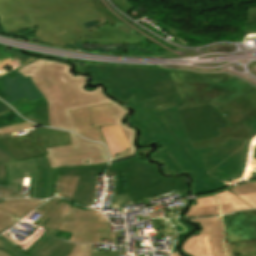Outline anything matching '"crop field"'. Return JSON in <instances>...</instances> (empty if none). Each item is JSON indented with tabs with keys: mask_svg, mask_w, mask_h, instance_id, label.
Masks as SVG:
<instances>
[{
	"mask_svg": "<svg viewBox=\"0 0 256 256\" xmlns=\"http://www.w3.org/2000/svg\"><path fill=\"white\" fill-rule=\"evenodd\" d=\"M47 62V63H45ZM70 67L59 62L38 59L22 68V76H30L32 82L44 97L29 102L22 98L12 104L21 116L43 126L75 131L69 110L112 103L115 125L120 124L131 148L112 157V161L133 156L136 149L133 144L135 130L124 126L121 119L127 113L121 105L106 97L101 87L88 92L84 89L87 78L72 75ZM48 103V105H46Z\"/></svg>",
	"mask_w": 256,
	"mask_h": 256,
	"instance_id": "crop-field-1",
	"label": "crop field"
},
{
	"mask_svg": "<svg viewBox=\"0 0 256 256\" xmlns=\"http://www.w3.org/2000/svg\"><path fill=\"white\" fill-rule=\"evenodd\" d=\"M101 16L116 27L121 23L99 0H0V25L6 31L37 27V37L45 43L58 46L90 41L135 44L140 40L118 27L105 26L89 33L80 24Z\"/></svg>",
	"mask_w": 256,
	"mask_h": 256,
	"instance_id": "crop-field-2",
	"label": "crop field"
},
{
	"mask_svg": "<svg viewBox=\"0 0 256 256\" xmlns=\"http://www.w3.org/2000/svg\"><path fill=\"white\" fill-rule=\"evenodd\" d=\"M181 102L178 93H172L135 103L134 97L126 103L137 114L130 120L141 129V144L159 141L161 147L151 158L165 165V171L194 174L193 193L202 194L224 187L231 178L222 179L219 171L207 172L203 153L212 152V147L194 150L177 107L156 110L155 106Z\"/></svg>",
	"mask_w": 256,
	"mask_h": 256,
	"instance_id": "crop-field-3",
	"label": "crop field"
},
{
	"mask_svg": "<svg viewBox=\"0 0 256 256\" xmlns=\"http://www.w3.org/2000/svg\"><path fill=\"white\" fill-rule=\"evenodd\" d=\"M150 150L140 148L134 157L111 163L107 176L117 175L112 206L174 191L180 198L187 196L185 176L165 178L158 173L156 165L145 162L143 156Z\"/></svg>",
	"mask_w": 256,
	"mask_h": 256,
	"instance_id": "crop-field-4",
	"label": "crop field"
},
{
	"mask_svg": "<svg viewBox=\"0 0 256 256\" xmlns=\"http://www.w3.org/2000/svg\"><path fill=\"white\" fill-rule=\"evenodd\" d=\"M76 71L90 73L93 84L104 82L110 94L125 103L133 94L140 101L177 91L169 76L171 71L163 69L87 65L76 67Z\"/></svg>",
	"mask_w": 256,
	"mask_h": 256,
	"instance_id": "crop-field-5",
	"label": "crop field"
},
{
	"mask_svg": "<svg viewBox=\"0 0 256 256\" xmlns=\"http://www.w3.org/2000/svg\"><path fill=\"white\" fill-rule=\"evenodd\" d=\"M182 103L156 107L178 106L179 109L211 103L214 107L255 91L251 84L227 74L195 75L183 72L170 74ZM217 81H213V80Z\"/></svg>",
	"mask_w": 256,
	"mask_h": 256,
	"instance_id": "crop-field-6",
	"label": "crop field"
},
{
	"mask_svg": "<svg viewBox=\"0 0 256 256\" xmlns=\"http://www.w3.org/2000/svg\"><path fill=\"white\" fill-rule=\"evenodd\" d=\"M72 145L46 149L51 166L48 196L52 197L57 168L108 163L104 146L71 134Z\"/></svg>",
	"mask_w": 256,
	"mask_h": 256,
	"instance_id": "crop-field-7",
	"label": "crop field"
},
{
	"mask_svg": "<svg viewBox=\"0 0 256 256\" xmlns=\"http://www.w3.org/2000/svg\"><path fill=\"white\" fill-rule=\"evenodd\" d=\"M0 141L16 160L44 156L47 155L44 148L71 144L69 133L41 127L17 137L11 134L0 136Z\"/></svg>",
	"mask_w": 256,
	"mask_h": 256,
	"instance_id": "crop-field-8",
	"label": "crop field"
},
{
	"mask_svg": "<svg viewBox=\"0 0 256 256\" xmlns=\"http://www.w3.org/2000/svg\"><path fill=\"white\" fill-rule=\"evenodd\" d=\"M219 113L232 126L220 129V137L192 143L194 148H203L221 144L228 137L249 139L242 121L256 117V91L216 107Z\"/></svg>",
	"mask_w": 256,
	"mask_h": 256,
	"instance_id": "crop-field-9",
	"label": "crop field"
},
{
	"mask_svg": "<svg viewBox=\"0 0 256 256\" xmlns=\"http://www.w3.org/2000/svg\"><path fill=\"white\" fill-rule=\"evenodd\" d=\"M192 142L219 136V128L230 126L211 105L179 110Z\"/></svg>",
	"mask_w": 256,
	"mask_h": 256,
	"instance_id": "crop-field-10",
	"label": "crop field"
},
{
	"mask_svg": "<svg viewBox=\"0 0 256 256\" xmlns=\"http://www.w3.org/2000/svg\"><path fill=\"white\" fill-rule=\"evenodd\" d=\"M61 198H52L35 212L42 214L33 224L56 230L62 220L109 222L99 211H82L61 203Z\"/></svg>",
	"mask_w": 256,
	"mask_h": 256,
	"instance_id": "crop-field-11",
	"label": "crop field"
},
{
	"mask_svg": "<svg viewBox=\"0 0 256 256\" xmlns=\"http://www.w3.org/2000/svg\"><path fill=\"white\" fill-rule=\"evenodd\" d=\"M70 113L78 134L106 145L100 127L114 125L111 104L73 110Z\"/></svg>",
	"mask_w": 256,
	"mask_h": 256,
	"instance_id": "crop-field-12",
	"label": "crop field"
},
{
	"mask_svg": "<svg viewBox=\"0 0 256 256\" xmlns=\"http://www.w3.org/2000/svg\"><path fill=\"white\" fill-rule=\"evenodd\" d=\"M249 140L228 138L219 146L213 147V153L205 154V165L208 171L220 170L222 177L239 174L242 150Z\"/></svg>",
	"mask_w": 256,
	"mask_h": 256,
	"instance_id": "crop-field-13",
	"label": "crop field"
},
{
	"mask_svg": "<svg viewBox=\"0 0 256 256\" xmlns=\"http://www.w3.org/2000/svg\"><path fill=\"white\" fill-rule=\"evenodd\" d=\"M107 165L60 168L57 175L80 177L74 200L91 206L95 184L93 177L103 173Z\"/></svg>",
	"mask_w": 256,
	"mask_h": 256,
	"instance_id": "crop-field-14",
	"label": "crop field"
},
{
	"mask_svg": "<svg viewBox=\"0 0 256 256\" xmlns=\"http://www.w3.org/2000/svg\"><path fill=\"white\" fill-rule=\"evenodd\" d=\"M58 229L73 233L69 240L73 242L98 243L100 238H115L108 223L62 221Z\"/></svg>",
	"mask_w": 256,
	"mask_h": 256,
	"instance_id": "crop-field-15",
	"label": "crop field"
},
{
	"mask_svg": "<svg viewBox=\"0 0 256 256\" xmlns=\"http://www.w3.org/2000/svg\"><path fill=\"white\" fill-rule=\"evenodd\" d=\"M223 216L230 242L256 241V210Z\"/></svg>",
	"mask_w": 256,
	"mask_h": 256,
	"instance_id": "crop-field-16",
	"label": "crop field"
},
{
	"mask_svg": "<svg viewBox=\"0 0 256 256\" xmlns=\"http://www.w3.org/2000/svg\"><path fill=\"white\" fill-rule=\"evenodd\" d=\"M188 221L200 223L203 230L200 234H208L214 256H226L223 240L225 238L221 216L206 219H191Z\"/></svg>",
	"mask_w": 256,
	"mask_h": 256,
	"instance_id": "crop-field-17",
	"label": "crop field"
},
{
	"mask_svg": "<svg viewBox=\"0 0 256 256\" xmlns=\"http://www.w3.org/2000/svg\"><path fill=\"white\" fill-rule=\"evenodd\" d=\"M56 231L46 237V239L29 256H67L75 243L63 242L55 239Z\"/></svg>",
	"mask_w": 256,
	"mask_h": 256,
	"instance_id": "crop-field-18",
	"label": "crop field"
},
{
	"mask_svg": "<svg viewBox=\"0 0 256 256\" xmlns=\"http://www.w3.org/2000/svg\"><path fill=\"white\" fill-rule=\"evenodd\" d=\"M101 130L103 132L111 156H114L115 154L130 148L119 125L104 127L101 128Z\"/></svg>",
	"mask_w": 256,
	"mask_h": 256,
	"instance_id": "crop-field-19",
	"label": "crop field"
},
{
	"mask_svg": "<svg viewBox=\"0 0 256 256\" xmlns=\"http://www.w3.org/2000/svg\"><path fill=\"white\" fill-rule=\"evenodd\" d=\"M43 202L33 199H12L0 203V209L22 218Z\"/></svg>",
	"mask_w": 256,
	"mask_h": 256,
	"instance_id": "crop-field-20",
	"label": "crop field"
},
{
	"mask_svg": "<svg viewBox=\"0 0 256 256\" xmlns=\"http://www.w3.org/2000/svg\"><path fill=\"white\" fill-rule=\"evenodd\" d=\"M182 249L190 256H213L207 235L189 237Z\"/></svg>",
	"mask_w": 256,
	"mask_h": 256,
	"instance_id": "crop-field-21",
	"label": "crop field"
},
{
	"mask_svg": "<svg viewBox=\"0 0 256 256\" xmlns=\"http://www.w3.org/2000/svg\"><path fill=\"white\" fill-rule=\"evenodd\" d=\"M36 58L26 57L18 54L16 51L0 48V74L4 73L3 68L12 65V67H21L32 62Z\"/></svg>",
	"mask_w": 256,
	"mask_h": 256,
	"instance_id": "crop-field-22",
	"label": "crop field"
},
{
	"mask_svg": "<svg viewBox=\"0 0 256 256\" xmlns=\"http://www.w3.org/2000/svg\"><path fill=\"white\" fill-rule=\"evenodd\" d=\"M37 161L39 165V179L36 189V198L45 199L50 178V167L45 156L37 158Z\"/></svg>",
	"mask_w": 256,
	"mask_h": 256,
	"instance_id": "crop-field-23",
	"label": "crop field"
},
{
	"mask_svg": "<svg viewBox=\"0 0 256 256\" xmlns=\"http://www.w3.org/2000/svg\"><path fill=\"white\" fill-rule=\"evenodd\" d=\"M78 177L57 176L53 196H65L73 199Z\"/></svg>",
	"mask_w": 256,
	"mask_h": 256,
	"instance_id": "crop-field-24",
	"label": "crop field"
},
{
	"mask_svg": "<svg viewBox=\"0 0 256 256\" xmlns=\"http://www.w3.org/2000/svg\"><path fill=\"white\" fill-rule=\"evenodd\" d=\"M10 109V107L0 100V113ZM13 156L8 152V150L3 146L0 142V186H4L5 184V164L4 162L14 161Z\"/></svg>",
	"mask_w": 256,
	"mask_h": 256,
	"instance_id": "crop-field-25",
	"label": "crop field"
},
{
	"mask_svg": "<svg viewBox=\"0 0 256 256\" xmlns=\"http://www.w3.org/2000/svg\"><path fill=\"white\" fill-rule=\"evenodd\" d=\"M215 215H220L219 205L196 208V203H193L185 217H205Z\"/></svg>",
	"mask_w": 256,
	"mask_h": 256,
	"instance_id": "crop-field-26",
	"label": "crop field"
},
{
	"mask_svg": "<svg viewBox=\"0 0 256 256\" xmlns=\"http://www.w3.org/2000/svg\"><path fill=\"white\" fill-rule=\"evenodd\" d=\"M220 203H231L235 211L251 209V207L247 206L236 196L229 193L227 190L216 194Z\"/></svg>",
	"mask_w": 256,
	"mask_h": 256,
	"instance_id": "crop-field-27",
	"label": "crop field"
},
{
	"mask_svg": "<svg viewBox=\"0 0 256 256\" xmlns=\"http://www.w3.org/2000/svg\"><path fill=\"white\" fill-rule=\"evenodd\" d=\"M236 256H256V242L230 243Z\"/></svg>",
	"mask_w": 256,
	"mask_h": 256,
	"instance_id": "crop-field-28",
	"label": "crop field"
},
{
	"mask_svg": "<svg viewBox=\"0 0 256 256\" xmlns=\"http://www.w3.org/2000/svg\"><path fill=\"white\" fill-rule=\"evenodd\" d=\"M1 249L7 251L11 256H28L20 250L12 241L0 235Z\"/></svg>",
	"mask_w": 256,
	"mask_h": 256,
	"instance_id": "crop-field-29",
	"label": "crop field"
},
{
	"mask_svg": "<svg viewBox=\"0 0 256 256\" xmlns=\"http://www.w3.org/2000/svg\"><path fill=\"white\" fill-rule=\"evenodd\" d=\"M228 191L233 193L236 196L248 194L252 192L256 193V181L236 186L234 188L228 189Z\"/></svg>",
	"mask_w": 256,
	"mask_h": 256,
	"instance_id": "crop-field-30",
	"label": "crop field"
},
{
	"mask_svg": "<svg viewBox=\"0 0 256 256\" xmlns=\"http://www.w3.org/2000/svg\"><path fill=\"white\" fill-rule=\"evenodd\" d=\"M47 229L46 228H43V227H39L37 230H35V235L33 237L30 238L29 242L24 245V244H21V243H17L15 240H13L12 238H10L9 236H7L5 233L2 234L4 235L5 237L9 238L10 240H12L16 245L19 244L20 246H22L25 250H29L33 245L34 243L43 235V233L46 231Z\"/></svg>",
	"mask_w": 256,
	"mask_h": 256,
	"instance_id": "crop-field-31",
	"label": "crop field"
},
{
	"mask_svg": "<svg viewBox=\"0 0 256 256\" xmlns=\"http://www.w3.org/2000/svg\"><path fill=\"white\" fill-rule=\"evenodd\" d=\"M91 252V245L76 243L71 254L68 256H90Z\"/></svg>",
	"mask_w": 256,
	"mask_h": 256,
	"instance_id": "crop-field-32",
	"label": "crop field"
},
{
	"mask_svg": "<svg viewBox=\"0 0 256 256\" xmlns=\"http://www.w3.org/2000/svg\"><path fill=\"white\" fill-rule=\"evenodd\" d=\"M10 111H12V109L3 112L0 115H3V114L8 113ZM22 124H25L27 126V128H32V127H36L37 126V125L30 124L28 122H24V123L15 124V125L7 126V127H2V128H0V135L16 132L17 130L15 129L14 126L22 125Z\"/></svg>",
	"mask_w": 256,
	"mask_h": 256,
	"instance_id": "crop-field-33",
	"label": "crop field"
},
{
	"mask_svg": "<svg viewBox=\"0 0 256 256\" xmlns=\"http://www.w3.org/2000/svg\"><path fill=\"white\" fill-rule=\"evenodd\" d=\"M20 219L14 217V216H9L7 219H5L4 221H2L0 223V233L5 231L6 229L10 228L11 226H13L15 223H17Z\"/></svg>",
	"mask_w": 256,
	"mask_h": 256,
	"instance_id": "crop-field-34",
	"label": "crop field"
},
{
	"mask_svg": "<svg viewBox=\"0 0 256 256\" xmlns=\"http://www.w3.org/2000/svg\"><path fill=\"white\" fill-rule=\"evenodd\" d=\"M197 207L219 204L215 195L196 200Z\"/></svg>",
	"mask_w": 256,
	"mask_h": 256,
	"instance_id": "crop-field-35",
	"label": "crop field"
},
{
	"mask_svg": "<svg viewBox=\"0 0 256 256\" xmlns=\"http://www.w3.org/2000/svg\"><path fill=\"white\" fill-rule=\"evenodd\" d=\"M243 125L246 130H248L249 137L256 134V118L243 122ZM251 141V138H250Z\"/></svg>",
	"mask_w": 256,
	"mask_h": 256,
	"instance_id": "crop-field-36",
	"label": "crop field"
},
{
	"mask_svg": "<svg viewBox=\"0 0 256 256\" xmlns=\"http://www.w3.org/2000/svg\"><path fill=\"white\" fill-rule=\"evenodd\" d=\"M238 198H240L243 202L250 205L251 207L256 208V195L254 193L239 196Z\"/></svg>",
	"mask_w": 256,
	"mask_h": 256,
	"instance_id": "crop-field-37",
	"label": "crop field"
},
{
	"mask_svg": "<svg viewBox=\"0 0 256 256\" xmlns=\"http://www.w3.org/2000/svg\"><path fill=\"white\" fill-rule=\"evenodd\" d=\"M113 2L117 4L126 13L135 9L127 0H113Z\"/></svg>",
	"mask_w": 256,
	"mask_h": 256,
	"instance_id": "crop-field-38",
	"label": "crop field"
},
{
	"mask_svg": "<svg viewBox=\"0 0 256 256\" xmlns=\"http://www.w3.org/2000/svg\"><path fill=\"white\" fill-rule=\"evenodd\" d=\"M256 22V8L247 9V19L243 23Z\"/></svg>",
	"mask_w": 256,
	"mask_h": 256,
	"instance_id": "crop-field-39",
	"label": "crop field"
},
{
	"mask_svg": "<svg viewBox=\"0 0 256 256\" xmlns=\"http://www.w3.org/2000/svg\"><path fill=\"white\" fill-rule=\"evenodd\" d=\"M50 229H48L45 234L35 243V245L26 253L29 254L32 250H34L44 239L45 237L50 233Z\"/></svg>",
	"mask_w": 256,
	"mask_h": 256,
	"instance_id": "crop-field-40",
	"label": "crop field"
},
{
	"mask_svg": "<svg viewBox=\"0 0 256 256\" xmlns=\"http://www.w3.org/2000/svg\"><path fill=\"white\" fill-rule=\"evenodd\" d=\"M222 214L234 212L230 204L221 205Z\"/></svg>",
	"mask_w": 256,
	"mask_h": 256,
	"instance_id": "crop-field-41",
	"label": "crop field"
},
{
	"mask_svg": "<svg viewBox=\"0 0 256 256\" xmlns=\"http://www.w3.org/2000/svg\"><path fill=\"white\" fill-rule=\"evenodd\" d=\"M9 215H11V214L6 213V212L0 210V222L2 220H4L5 218H7Z\"/></svg>",
	"mask_w": 256,
	"mask_h": 256,
	"instance_id": "crop-field-42",
	"label": "crop field"
},
{
	"mask_svg": "<svg viewBox=\"0 0 256 256\" xmlns=\"http://www.w3.org/2000/svg\"><path fill=\"white\" fill-rule=\"evenodd\" d=\"M225 248H226V251H227L228 256H233V255H232V252H231V248H230V244H229V243H226V244H225Z\"/></svg>",
	"mask_w": 256,
	"mask_h": 256,
	"instance_id": "crop-field-43",
	"label": "crop field"
},
{
	"mask_svg": "<svg viewBox=\"0 0 256 256\" xmlns=\"http://www.w3.org/2000/svg\"><path fill=\"white\" fill-rule=\"evenodd\" d=\"M238 177H239V175H233L230 183L237 181Z\"/></svg>",
	"mask_w": 256,
	"mask_h": 256,
	"instance_id": "crop-field-44",
	"label": "crop field"
},
{
	"mask_svg": "<svg viewBox=\"0 0 256 256\" xmlns=\"http://www.w3.org/2000/svg\"><path fill=\"white\" fill-rule=\"evenodd\" d=\"M177 212H168L169 217H176Z\"/></svg>",
	"mask_w": 256,
	"mask_h": 256,
	"instance_id": "crop-field-45",
	"label": "crop field"
},
{
	"mask_svg": "<svg viewBox=\"0 0 256 256\" xmlns=\"http://www.w3.org/2000/svg\"><path fill=\"white\" fill-rule=\"evenodd\" d=\"M0 256H10L8 253L0 250Z\"/></svg>",
	"mask_w": 256,
	"mask_h": 256,
	"instance_id": "crop-field-46",
	"label": "crop field"
},
{
	"mask_svg": "<svg viewBox=\"0 0 256 256\" xmlns=\"http://www.w3.org/2000/svg\"><path fill=\"white\" fill-rule=\"evenodd\" d=\"M16 128H17V130H20V129H25L26 127H25V125H22V126H17Z\"/></svg>",
	"mask_w": 256,
	"mask_h": 256,
	"instance_id": "crop-field-47",
	"label": "crop field"
},
{
	"mask_svg": "<svg viewBox=\"0 0 256 256\" xmlns=\"http://www.w3.org/2000/svg\"><path fill=\"white\" fill-rule=\"evenodd\" d=\"M4 89L2 83H0V91H2Z\"/></svg>",
	"mask_w": 256,
	"mask_h": 256,
	"instance_id": "crop-field-48",
	"label": "crop field"
},
{
	"mask_svg": "<svg viewBox=\"0 0 256 256\" xmlns=\"http://www.w3.org/2000/svg\"><path fill=\"white\" fill-rule=\"evenodd\" d=\"M172 256H181V255L178 253H173Z\"/></svg>",
	"mask_w": 256,
	"mask_h": 256,
	"instance_id": "crop-field-49",
	"label": "crop field"
},
{
	"mask_svg": "<svg viewBox=\"0 0 256 256\" xmlns=\"http://www.w3.org/2000/svg\"><path fill=\"white\" fill-rule=\"evenodd\" d=\"M256 178V174H253V177H252V179H255Z\"/></svg>",
	"mask_w": 256,
	"mask_h": 256,
	"instance_id": "crop-field-50",
	"label": "crop field"
}]
</instances>
